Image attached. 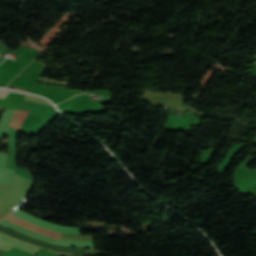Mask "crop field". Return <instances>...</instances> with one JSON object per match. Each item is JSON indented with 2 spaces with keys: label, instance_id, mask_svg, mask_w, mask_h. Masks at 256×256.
<instances>
[{
  "label": "crop field",
  "instance_id": "412701ff",
  "mask_svg": "<svg viewBox=\"0 0 256 256\" xmlns=\"http://www.w3.org/2000/svg\"><path fill=\"white\" fill-rule=\"evenodd\" d=\"M9 93L8 90L0 89V97L4 98Z\"/></svg>",
  "mask_w": 256,
  "mask_h": 256
},
{
  "label": "crop field",
  "instance_id": "ac0d7876",
  "mask_svg": "<svg viewBox=\"0 0 256 256\" xmlns=\"http://www.w3.org/2000/svg\"><path fill=\"white\" fill-rule=\"evenodd\" d=\"M28 113L29 111L17 110L12 119L10 126L15 129H19V127L21 126L22 122L24 121Z\"/></svg>",
  "mask_w": 256,
  "mask_h": 256
},
{
  "label": "crop field",
  "instance_id": "8a807250",
  "mask_svg": "<svg viewBox=\"0 0 256 256\" xmlns=\"http://www.w3.org/2000/svg\"><path fill=\"white\" fill-rule=\"evenodd\" d=\"M13 246L23 249L25 251L31 252L33 254H35V252L38 250V247H34L31 245H27V244L18 242V241L11 239L3 234H0V247L1 248L9 250Z\"/></svg>",
  "mask_w": 256,
  "mask_h": 256
},
{
  "label": "crop field",
  "instance_id": "34b2d1b8",
  "mask_svg": "<svg viewBox=\"0 0 256 256\" xmlns=\"http://www.w3.org/2000/svg\"><path fill=\"white\" fill-rule=\"evenodd\" d=\"M4 254V256H36L33 255L31 253L19 250L15 247H13L12 249H10L8 252L1 250Z\"/></svg>",
  "mask_w": 256,
  "mask_h": 256
}]
</instances>
